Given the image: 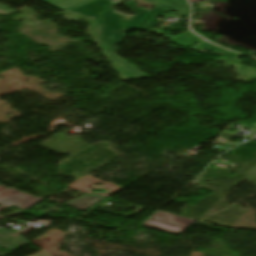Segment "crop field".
I'll return each mask as SVG.
<instances>
[{
	"label": "crop field",
	"instance_id": "8a807250",
	"mask_svg": "<svg viewBox=\"0 0 256 256\" xmlns=\"http://www.w3.org/2000/svg\"><path fill=\"white\" fill-rule=\"evenodd\" d=\"M152 218H155L154 220ZM195 220L184 217L164 213L158 210L149 219H147L141 226L156 229L159 231L180 235L185 231Z\"/></svg>",
	"mask_w": 256,
	"mask_h": 256
},
{
	"label": "crop field",
	"instance_id": "ac0d7876",
	"mask_svg": "<svg viewBox=\"0 0 256 256\" xmlns=\"http://www.w3.org/2000/svg\"><path fill=\"white\" fill-rule=\"evenodd\" d=\"M44 198L34 197L30 194L22 193L15 188L8 189L0 187V210L15 205L22 210L28 209L40 202Z\"/></svg>",
	"mask_w": 256,
	"mask_h": 256
},
{
	"label": "crop field",
	"instance_id": "34b2d1b8",
	"mask_svg": "<svg viewBox=\"0 0 256 256\" xmlns=\"http://www.w3.org/2000/svg\"><path fill=\"white\" fill-rule=\"evenodd\" d=\"M105 26L104 25H99V36L96 39V42H102L103 39L105 38L104 36V30H105Z\"/></svg>",
	"mask_w": 256,
	"mask_h": 256
},
{
	"label": "crop field",
	"instance_id": "412701ff",
	"mask_svg": "<svg viewBox=\"0 0 256 256\" xmlns=\"http://www.w3.org/2000/svg\"><path fill=\"white\" fill-rule=\"evenodd\" d=\"M1 6H4V5H1ZM5 7L7 8L0 7V14L7 15V14L15 13V11L8 9V6H5Z\"/></svg>",
	"mask_w": 256,
	"mask_h": 256
},
{
	"label": "crop field",
	"instance_id": "f4fd0767",
	"mask_svg": "<svg viewBox=\"0 0 256 256\" xmlns=\"http://www.w3.org/2000/svg\"><path fill=\"white\" fill-rule=\"evenodd\" d=\"M115 14L119 15L122 20H129V19H131V18L134 17V15H133V16H130V17H127V16L121 15V14H119V13H117V12H115Z\"/></svg>",
	"mask_w": 256,
	"mask_h": 256
},
{
	"label": "crop field",
	"instance_id": "dd49c442",
	"mask_svg": "<svg viewBox=\"0 0 256 256\" xmlns=\"http://www.w3.org/2000/svg\"><path fill=\"white\" fill-rule=\"evenodd\" d=\"M20 213H22V211L16 212V213H12V214H9V215H5V216H0V219L3 218V217L12 216V215H17V214H20Z\"/></svg>",
	"mask_w": 256,
	"mask_h": 256
},
{
	"label": "crop field",
	"instance_id": "e52e79f7",
	"mask_svg": "<svg viewBox=\"0 0 256 256\" xmlns=\"http://www.w3.org/2000/svg\"><path fill=\"white\" fill-rule=\"evenodd\" d=\"M190 2L201 1V0H189Z\"/></svg>",
	"mask_w": 256,
	"mask_h": 256
},
{
	"label": "crop field",
	"instance_id": "d8731c3e",
	"mask_svg": "<svg viewBox=\"0 0 256 256\" xmlns=\"http://www.w3.org/2000/svg\"><path fill=\"white\" fill-rule=\"evenodd\" d=\"M213 53H218V54H222V53H220V52H213Z\"/></svg>",
	"mask_w": 256,
	"mask_h": 256
},
{
	"label": "crop field",
	"instance_id": "5a996713",
	"mask_svg": "<svg viewBox=\"0 0 256 256\" xmlns=\"http://www.w3.org/2000/svg\"><path fill=\"white\" fill-rule=\"evenodd\" d=\"M255 140H256V138H255Z\"/></svg>",
	"mask_w": 256,
	"mask_h": 256
}]
</instances>
